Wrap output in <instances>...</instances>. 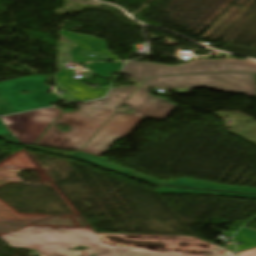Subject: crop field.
<instances>
[{"label": "crop field", "mask_w": 256, "mask_h": 256, "mask_svg": "<svg viewBox=\"0 0 256 256\" xmlns=\"http://www.w3.org/2000/svg\"><path fill=\"white\" fill-rule=\"evenodd\" d=\"M138 86L111 88L107 98L83 103L77 112L62 113L35 144L80 150ZM59 123L70 125V131L57 129Z\"/></svg>", "instance_id": "1"}, {"label": "crop field", "mask_w": 256, "mask_h": 256, "mask_svg": "<svg viewBox=\"0 0 256 256\" xmlns=\"http://www.w3.org/2000/svg\"><path fill=\"white\" fill-rule=\"evenodd\" d=\"M12 248H28L45 256H116L92 229L27 227L0 236ZM76 246L84 251H67Z\"/></svg>", "instance_id": "2"}, {"label": "crop field", "mask_w": 256, "mask_h": 256, "mask_svg": "<svg viewBox=\"0 0 256 256\" xmlns=\"http://www.w3.org/2000/svg\"><path fill=\"white\" fill-rule=\"evenodd\" d=\"M148 89L141 86L125 102L135 113L117 111L81 151L101 156L115 139L126 137L144 116L166 118L176 104L151 96Z\"/></svg>", "instance_id": "3"}, {"label": "crop field", "mask_w": 256, "mask_h": 256, "mask_svg": "<svg viewBox=\"0 0 256 256\" xmlns=\"http://www.w3.org/2000/svg\"><path fill=\"white\" fill-rule=\"evenodd\" d=\"M219 71L256 73V61L247 59L189 60V63L184 65L127 62L123 73L135 77L141 84L147 77Z\"/></svg>", "instance_id": "4"}, {"label": "crop field", "mask_w": 256, "mask_h": 256, "mask_svg": "<svg viewBox=\"0 0 256 256\" xmlns=\"http://www.w3.org/2000/svg\"><path fill=\"white\" fill-rule=\"evenodd\" d=\"M143 85L164 88L210 87L223 92L256 96L255 74L237 72L154 77L147 79Z\"/></svg>", "instance_id": "5"}, {"label": "crop field", "mask_w": 256, "mask_h": 256, "mask_svg": "<svg viewBox=\"0 0 256 256\" xmlns=\"http://www.w3.org/2000/svg\"><path fill=\"white\" fill-rule=\"evenodd\" d=\"M47 77L36 75L0 82V115L11 114L29 109L50 106L59 98L55 94L45 95ZM22 90H36V92L21 94Z\"/></svg>", "instance_id": "6"}, {"label": "crop field", "mask_w": 256, "mask_h": 256, "mask_svg": "<svg viewBox=\"0 0 256 256\" xmlns=\"http://www.w3.org/2000/svg\"><path fill=\"white\" fill-rule=\"evenodd\" d=\"M105 244L192 252L221 249L194 237L145 236L131 234H98Z\"/></svg>", "instance_id": "7"}, {"label": "crop field", "mask_w": 256, "mask_h": 256, "mask_svg": "<svg viewBox=\"0 0 256 256\" xmlns=\"http://www.w3.org/2000/svg\"><path fill=\"white\" fill-rule=\"evenodd\" d=\"M62 112V109L50 108L0 119L20 143L34 144Z\"/></svg>", "instance_id": "8"}, {"label": "crop field", "mask_w": 256, "mask_h": 256, "mask_svg": "<svg viewBox=\"0 0 256 256\" xmlns=\"http://www.w3.org/2000/svg\"><path fill=\"white\" fill-rule=\"evenodd\" d=\"M117 256H232V251L225 249L192 252V253H181L121 246L107 245Z\"/></svg>", "instance_id": "9"}, {"label": "crop field", "mask_w": 256, "mask_h": 256, "mask_svg": "<svg viewBox=\"0 0 256 256\" xmlns=\"http://www.w3.org/2000/svg\"><path fill=\"white\" fill-rule=\"evenodd\" d=\"M173 186L256 194V189L213 184V183H207V182H201V181H195V180H189V179L177 180L174 182Z\"/></svg>", "instance_id": "10"}, {"label": "crop field", "mask_w": 256, "mask_h": 256, "mask_svg": "<svg viewBox=\"0 0 256 256\" xmlns=\"http://www.w3.org/2000/svg\"><path fill=\"white\" fill-rule=\"evenodd\" d=\"M234 240L243 243L237 246V251L256 246V231L243 228L234 235Z\"/></svg>", "instance_id": "11"}, {"label": "crop field", "mask_w": 256, "mask_h": 256, "mask_svg": "<svg viewBox=\"0 0 256 256\" xmlns=\"http://www.w3.org/2000/svg\"><path fill=\"white\" fill-rule=\"evenodd\" d=\"M72 157L80 158V159L101 165L103 167H106V168H109V169H112V170H115V171H118L121 173L127 171L126 169L106 163V159H104L102 157H98V156H94V155H90V154H86V153H82V152H79V153L73 155Z\"/></svg>", "instance_id": "12"}, {"label": "crop field", "mask_w": 256, "mask_h": 256, "mask_svg": "<svg viewBox=\"0 0 256 256\" xmlns=\"http://www.w3.org/2000/svg\"><path fill=\"white\" fill-rule=\"evenodd\" d=\"M156 192L158 193H210V194H222V195H233V196L256 198V196H253V195H242V194H231V193H220V192H209V191H198V190H187V189H176V188H165V187H159Z\"/></svg>", "instance_id": "13"}, {"label": "crop field", "mask_w": 256, "mask_h": 256, "mask_svg": "<svg viewBox=\"0 0 256 256\" xmlns=\"http://www.w3.org/2000/svg\"><path fill=\"white\" fill-rule=\"evenodd\" d=\"M125 174L135 176L137 178L143 179V180L148 181L150 183L162 184V185H168V186H172V184H173V182H159L158 180H156L154 178H151V177H148V176H145V175H142V174L130 171V170L125 172Z\"/></svg>", "instance_id": "14"}, {"label": "crop field", "mask_w": 256, "mask_h": 256, "mask_svg": "<svg viewBox=\"0 0 256 256\" xmlns=\"http://www.w3.org/2000/svg\"><path fill=\"white\" fill-rule=\"evenodd\" d=\"M0 137L17 144L16 140L13 138V136L8 132V130L3 126L1 122H0Z\"/></svg>", "instance_id": "15"}, {"label": "crop field", "mask_w": 256, "mask_h": 256, "mask_svg": "<svg viewBox=\"0 0 256 256\" xmlns=\"http://www.w3.org/2000/svg\"><path fill=\"white\" fill-rule=\"evenodd\" d=\"M237 256H256V248L247 250V251H243V252H239Z\"/></svg>", "instance_id": "16"}]
</instances>
